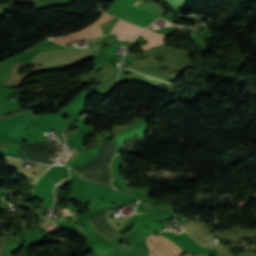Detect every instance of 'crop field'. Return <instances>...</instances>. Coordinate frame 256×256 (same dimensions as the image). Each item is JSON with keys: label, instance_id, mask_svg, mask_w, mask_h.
Returning <instances> with one entry per match:
<instances>
[{"label": "crop field", "instance_id": "crop-field-6", "mask_svg": "<svg viewBox=\"0 0 256 256\" xmlns=\"http://www.w3.org/2000/svg\"><path fill=\"white\" fill-rule=\"evenodd\" d=\"M118 39H121V40H128V41H131L130 39H128V38H124V37H120V36H118Z\"/></svg>", "mask_w": 256, "mask_h": 256}, {"label": "crop field", "instance_id": "crop-field-2", "mask_svg": "<svg viewBox=\"0 0 256 256\" xmlns=\"http://www.w3.org/2000/svg\"><path fill=\"white\" fill-rule=\"evenodd\" d=\"M142 31L141 28L126 23L117 22L111 32L122 34L129 37H135Z\"/></svg>", "mask_w": 256, "mask_h": 256}, {"label": "crop field", "instance_id": "crop-field-9", "mask_svg": "<svg viewBox=\"0 0 256 256\" xmlns=\"http://www.w3.org/2000/svg\"><path fill=\"white\" fill-rule=\"evenodd\" d=\"M185 233V231H183Z\"/></svg>", "mask_w": 256, "mask_h": 256}, {"label": "crop field", "instance_id": "crop-field-5", "mask_svg": "<svg viewBox=\"0 0 256 256\" xmlns=\"http://www.w3.org/2000/svg\"><path fill=\"white\" fill-rule=\"evenodd\" d=\"M190 226H192V224H190V223H185V224H183V229H185V228H187V227H190Z\"/></svg>", "mask_w": 256, "mask_h": 256}, {"label": "crop field", "instance_id": "crop-field-4", "mask_svg": "<svg viewBox=\"0 0 256 256\" xmlns=\"http://www.w3.org/2000/svg\"><path fill=\"white\" fill-rule=\"evenodd\" d=\"M114 213H116V212L107 210L105 213V218L111 227L118 229L119 227H117L116 224L118 223V224L122 225L123 223L126 222L127 218L118 216L115 219H111L110 216Z\"/></svg>", "mask_w": 256, "mask_h": 256}, {"label": "crop field", "instance_id": "crop-field-8", "mask_svg": "<svg viewBox=\"0 0 256 256\" xmlns=\"http://www.w3.org/2000/svg\"><path fill=\"white\" fill-rule=\"evenodd\" d=\"M186 256H189L188 254H186Z\"/></svg>", "mask_w": 256, "mask_h": 256}, {"label": "crop field", "instance_id": "crop-field-10", "mask_svg": "<svg viewBox=\"0 0 256 256\" xmlns=\"http://www.w3.org/2000/svg\"><path fill=\"white\" fill-rule=\"evenodd\" d=\"M50 160V159H49Z\"/></svg>", "mask_w": 256, "mask_h": 256}, {"label": "crop field", "instance_id": "crop-field-1", "mask_svg": "<svg viewBox=\"0 0 256 256\" xmlns=\"http://www.w3.org/2000/svg\"><path fill=\"white\" fill-rule=\"evenodd\" d=\"M5 158L9 164V166H10V164H12L13 166H11V167L17 168L18 171L20 172V174L28 179H30L29 178L30 176L36 179L41 174V172L47 167V166H42V165L36 164L33 167H31L29 170H25L21 167L22 161H18L16 159L7 158V157H5ZM33 172H37V176L32 175L31 173H33Z\"/></svg>", "mask_w": 256, "mask_h": 256}, {"label": "crop field", "instance_id": "crop-field-3", "mask_svg": "<svg viewBox=\"0 0 256 256\" xmlns=\"http://www.w3.org/2000/svg\"><path fill=\"white\" fill-rule=\"evenodd\" d=\"M142 35H144V36L150 41V44H149V42H148V40H147V42H148V44H149V45L147 46V48H150V47H152V46H155V45H158V44L163 43V40L167 37V36L160 35V34L153 33V32H149V31L143 32ZM144 36H143V38H145ZM146 38H145V39H146ZM143 46H144V45H143ZM141 47H142V46H141ZM147 48H146V46L143 47L144 50L147 49Z\"/></svg>", "mask_w": 256, "mask_h": 256}, {"label": "crop field", "instance_id": "crop-field-7", "mask_svg": "<svg viewBox=\"0 0 256 256\" xmlns=\"http://www.w3.org/2000/svg\"><path fill=\"white\" fill-rule=\"evenodd\" d=\"M139 2L137 1L136 3H134V5L138 4Z\"/></svg>", "mask_w": 256, "mask_h": 256}]
</instances>
